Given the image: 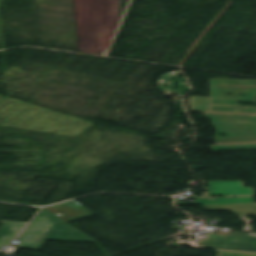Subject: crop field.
<instances>
[{
    "mask_svg": "<svg viewBox=\"0 0 256 256\" xmlns=\"http://www.w3.org/2000/svg\"><path fill=\"white\" fill-rule=\"evenodd\" d=\"M18 239V247L36 249H43L46 240L94 242L45 208Z\"/></svg>",
    "mask_w": 256,
    "mask_h": 256,
    "instance_id": "1",
    "label": "crop field"
},
{
    "mask_svg": "<svg viewBox=\"0 0 256 256\" xmlns=\"http://www.w3.org/2000/svg\"><path fill=\"white\" fill-rule=\"evenodd\" d=\"M255 96L256 80L210 79L211 111L256 113V107L238 105L239 101L253 102Z\"/></svg>",
    "mask_w": 256,
    "mask_h": 256,
    "instance_id": "2",
    "label": "crop field"
},
{
    "mask_svg": "<svg viewBox=\"0 0 256 256\" xmlns=\"http://www.w3.org/2000/svg\"><path fill=\"white\" fill-rule=\"evenodd\" d=\"M205 211L231 210L236 214H255L256 204L201 206ZM236 240V241H234ZM202 248L256 252V236L248 234L212 231L207 239L198 238ZM225 247V248H223Z\"/></svg>",
    "mask_w": 256,
    "mask_h": 256,
    "instance_id": "3",
    "label": "crop field"
},
{
    "mask_svg": "<svg viewBox=\"0 0 256 256\" xmlns=\"http://www.w3.org/2000/svg\"><path fill=\"white\" fill-rule=\"evenodd\" d=\"M48 209L55 214H60L61 218L67 222L94 215L74 200L48 207Z\"/></svg>",
    "mask_w": 256,
    "mask_h": 256,
    "instance_id": "4",
    "label": "crop field"
},
{
    "mask_svg": "<svg viewBox=\"0 0 256 256\" xmlns=\"http://www.w3.org/2000/svg\"><path fill=\"white\" fill-rule=\"evenodd\" d=\"M4 223L0 229V247L1 245L8 246V244L19 235L21 230L27 223L24 222H10L1 221Z\"/></svg>",
    "mask_w": 256,
    "mask_h": 256,
    "instance_id": "5",
    "label": "crop field"
},
{
    "mask_svg": "<svg viewBox=\"0 0 256 256\" xmlns=\"http://www.w3.org/2000/svg\"><path fill=\"white\" fill-rule=\"evenodd\" d=\"M191 111H210L209 97H190Z\"/></svg>",
    "mask_w": 256,
    "mask_h": 256,
    "instance_id": "6",
    "label": "crop field"
},
{
    "mask_svg": "<svg viewBox=\"0 0 256 256\" xmlns=\"http://www.w3.org/2000/svg\"><path fill=\"white\" fill-rule=\"evenodd\" d=\"M213 151L256 149V144L211 146Z\"/></svg>",
    "mask_w": 256,
    "mask_h": 256,
    "instance_id": "7",
    "label": "crop field"
},
{
    "mask_svg": "<svg viewBox=\"0 0 256 256\" xmlns=\"http://www.w3.org/2000/svg\"><path fill=\"white\" fill-rule=\"evenodd\" d=\"M219 256H256V254L218 251Z\"/></svg>",
    "mask_w": 256,
    "mask_h": 256,
    "instance_id": "8",
    "label": "crop field"
}]
</instances>
